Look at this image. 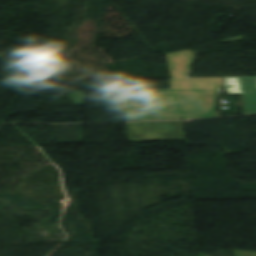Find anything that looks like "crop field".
I'll list each match as a JSON object with an SVG mask.
<instances>
[{
    "instance_id": "8a807250",
    "label": "crop field",
    "mask_w": 256,
    "mask_h": 256,
    "mask_svg": "<svg viewBox=\"0 0 256 256\" xmlns=\"http://www.w3.org/2000/svg\"><path fill=\"white\" fill-rule=\"evenodd\" d=\"M194 56L190 50L166 55L171 90L125 91L128 121L217 117L222 78L188 79Z\"/></svg>"
},
{
    "instance_id": "34b2d1b8",
    "label": "crop field",
    "mask_w": 256,
    "mask_h": 256,
    "mask_svg": "<svg viewBox=\"0 0 256 256\" xmlns=\"http://www.w3.org/2000/svg\"><path fill=\"white\" fill-rule=\"evenodd\" d=\"M227 94H243L244 114L256 113V76L224 77Z\"/></svg>"
},
{
    "instance_id": "412701ff",
    "label": "crop field",
    "mask_w": 256,
    "mask_h": 256,
    "mask_svg": "<svg viewBox=\"0 0 256 256\" xmlns=\"http://www.w3.org/2000/svg\"><path fill=\"white\" fill-rule=\"evenodd\" d=\"M236 256H256V253L253 252H241V251H235Z\"/></svg>"
},
{
    "instance_id": "ac0d7876",
    "label": "crop field",
    "mask_w": 256,
    "mask_h": 256,
    "mask_svg": "<svg viewBox=\"0 0 256 256\" xmlns=\"http://www.w3.org/2000/svg\"><path fill=\"white\" fill-rule=\"evenodd\" d=\"M130 141L184 140L182 122L127 123Z\"/></svg>"
}]
</instances>
